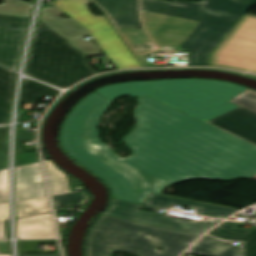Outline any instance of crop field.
Returning <instances> with one entry per match:
<instances>
[{"label":"crop field","mask_w":256,"mask_h":256,"mask_svg":"<svg viewBox=\"0 0 256 256\" xmlns=\"http://www.w3.org/2000/svg\"><path fill=\"white\" fill-rule=\"evenodd\" d=\"M36 151L16 155V166L38 162Z\"/></svg>","instance_id":"4177f3b9"},{"label":"crop field","mask_w":256,"mask_h":256,"mask_svg":"<svg viewBox=\"0 0 256 256\" xmlns=\"http://www.w3.org/2000/svg\"><path fill=\"white\" fill-rule=\"evenodd\" d=\"M185 253L213 255V256H239L238 248L225 244L212 237L204 235Z\"/></svg>","instance_id":"733c2abd"},{"label":"crop field","mask_w":256,"mask_h":256,"mask_svg":"<svg viewBox=\"0 0 256 256\" xmlns=\"http://www.w3.org/2000/svg\"><path fill=\"white\" fill-rule=\"evenodd\" d=\"M28 19L0 16V65L17 70ZM18 28L17 31L12 30Z\"/></svg>","instance_id":"3316defc"},{"label":"crop field","mask_w":256,"mask_h":256,"mask_svg":"<svg viewBox=\"0 0 256 256\" xmlns=\"http://www.w3.org/2000/svg\"><path fill=\"white\" fill-rule=\"evenodd\" d=\"M7 188H8V178H7V169H5L0 171V204L7 203Z\"/></svg>","instance_id":"730fd06b"},{"label":"crop field","mask_w":256,"mask_h":256,"mask_svg":"<svg viewBox=\"0 0 256 256\" xmlns=\"http://www.w3.org/2000/svg\"><path fill=\"white\" fill-rule=\"evenodd\" d=\"M17 217L49 211L47 198L16 203Z\"/></svg>","instance_id":"92a150f3"},{"label":"crop field","mask_w":256,"mask_h":256,"mask_svg":"<svg viewBox=\"0 0 256 256\" xmlns=\"http://www.w3.org/2000/svg\"><path fill=\"white\" fill-rule=\"evenodd\" d=\"M247 88L203 79H170L161 81L117 83L95 92L110 100L128 94L149 95L202 121L210 120L237 108L227 101Z\"/></svg>","instance_id":"34b2d1b8"},{"label":"crop field","mask_w":256,"mask_h":256,"mask_svg":"<svg viewBox=\"0 0 256 256\" xmlns=\"http://www.w3.org/2000/svg\"><path fill=\"white\" fill-rule=\"evenodd\" d=\"M19 256H60L59 254H19Z\"/></svg>","instance_id":"bd1437ed"},{"label":"crop field","mask_w":256,"mask_h":256,"mask_svg":"<svg viewBox=\"0 0 256 256\" xmlns=\"http://www.w3.org/2000/svg\"><path fill=\"white\" fill-rule=\"evenodd\" d=\"M8 127H0V151L7 152Z\"/></svg>","instance_id":"ae1a2a85"},{"label":"crop field","mask_w":256,"mask_h":256,"mask_svg":"<svg viewBox=\"0 0 256 256\" xmlns=\"http://www.w3.org/2000/svg\"><path fill=\"white\" fill-rule=\"evenodd\" d=\"M47 197L39 162L16 168V202Z\"/></svg>","instance_id":"22f410ed"},{"label":"crop field","mask_w":256,"mask_h":256,"mask_svg":"<svg viewBox=\"0 0 256 256\" xmlns=\"http://www.w3.org/2000/svg\"><path fill=\"white\" fill-rule=\"evenodd\" d=\"M63 15L56 8H42L40 17L42 21L47 23L57 32H59L65 39L69 40L71 45L84 52L88 56L102 54L96 50L98 46L93 41H85L83 38L89 35L82 27L71 19H63L59 17Z\"/></svg>","instance_id":"28ad6ade"},{"label":"crop field","mask_w":256,"mask_h":256,"mask_svg":"<svg viewBox=\"0 0 256 256\" xmlns=\"http://www.w3.org/2000/svg\"><path fill=\"white\" fill-rule=\"evenodd\" d=\"M9 114L0 110V124L8 123Z\"/></svg>","instance_id":"750c4746"},{"label":"crop field","mask_w":256,"mask_h":256,"mask_svg":"<svg viewBox=\"0 0 256 256\" xmlns=\"http://www.w3.org/2000/svg\"><path fill=\"white\" fill-rule=\"evenodd\" d=\"M56 238L49 213L17 219V239Z\"/></svg>","instance_id":"d9b57169"},{"label":"crop field","mask_w":256,"mask_h":256,"mask_svg":"<svg viewBox=\"0 0 256 256\" xmlns=\"http://www.w3.org/2000/svg\"><path fill=\"white\" fill-rule=\"evenodd\" d=\"M142 206L125 201L112 199L108 209L101 215H112L123 219L143 222L152 225L168 227L184 232L201 235L219 220L204 218L201 221L191 219L184 222L181 219L165 216L159 213L140 210Z\"/></svg>","instance_id":"5a996713"},{"label":"crop field","mask_w":256,"mask_h":256,"mask_svg":"<svg viewBox=\"0 0 256 256\" xmlns=\"http://www.w3.org/2000/svg\"><path fill=\"white\" fill-rule=\"evenodd\" d=\"M208 122L256 144V113L239 107Z\"/></svg>","instance_id":"d1516ede"},{"label":"crop field","mask_w":256,"mask_h":256,"mask_svg":"<svg viewBox=\"0 0 256 256\" xmlns=\"http://www.w3.org/2000/svg\"><path fill=\"white\" fill-rule=\"evenodd\" d=\"M254 215L256 216V210ZM239 223L225 222L210 231L211 234L223 241L240 242V256H256V227L250 229L237 228Z\"/></svg>","instance_id":"cbeb9de0"},{"label":"crop field","mask_w":256,"mask_h":256,"mask_svg":"<svg viewBox=\"0 0 256 256\" xmlns=\"http://www.w3.org/2000/svg\"><path fill=\"white\" fill-rule=\"evenodd\" d=\"M0 256H11V255H0Z\"/></svg>","instance_id":"120bbe31"},{"label":"crop field","mask_w":256,"mask_h":256,"mask_svg":"<svg viewBox=\"0 0 256 256\" xmlns=\"http://www.w3.org/2000/svg\"><path fill=\"white\" fill-rule=\"evenodd\" d=\"M0 5V13L28 17L33 5L23 0H4Z\"/></svg>","instance_id":"dafd665d"},{"label":"crop field","mask_w":256,"mask_h":256,"mask_svg":"<svg viewBox=\"0 0 256 256\" xmlns=\"http://www.w3.org/2000/svg\"><path fill=\"white\" fill-rule=\"evenodd\" d=\"M228 102L256 112V91L247 89Z\"/></svg>","instance_id":"00972430"},{"label":"crop field","mask_w":256,"mask_h":256,"mask_svg":"<svg viewBox=\"0 0 256 256\" xmlns=\"http://www.w3.org/2000/svg\"><path fill=\"white\" fill-rule=\"evenodd\" d=\"M85 58L84 54L72 49L59 35L38 22L25 73L66 88L95 74L85 65Z\"/></svg>","instance_id":"f4fd0767"},{"label":"crop field","mask_w":256,"mask_h":256,"mask_svg":"<svg viewBox=\"0 0 256 256\" xmlns=\"http://www.w3.org/2000/svg\"><path fill=\"white\" fill-rule=\"evenodd\" d=\"M136 126L121 158L98 139L97 123L112 101L91 93L65 118L63 150L110 188L112 197L143 205L150 192L203 178L230 181L256 174V146L148 96L136 98Z\"/></svg>","instance_id":"8a807250"},{"label":"crop field","mask_w":256,"mask_h":256,"mask_svg":"<svg viewBox=\"0 0 256 256\" xmlns=\"http://www.w3.org/2000/svg\"><path fill=\"white\" fill-rule=\"evenodd\" d=\"M108 16L126 44L135 53L153 51L155 46L141 26L138 4L139 0H92Z\"/></svg>","instance_id":"d8731c3e"},{"label":"crop field","mask_w":256,"mask_h":256,"mask_svg":"<svg viewBox=\"0 0 256 256\" xmlns=\"http://www.w3.org/2000/svg\"><path fill=\"white\" fill-rule=\"evenodd\" d=\"M198 236L163 227L99 216L84 242L86 256L135 251L140 256H178ZM157 246L165 248L158 252Z\"/></svg>","instance_id":"412701ff"},{"label":"crop field","mask_w":256,"mask_h":256,"mask_svg":"<svg viewBox=\"0 0 256 256\" xmlns=\"http://www.w3.org/2000/svg\"><path fill=\"white\" fill-rule=\"evenodd\" d=\"M59 91L45 85L24 79L20 101L23 103H37L45 95L55 98Z\"/></svg>","instance_id":"4a817a6b"},{"label":"crop field","mask_w":256,"mask_h":256,"mask_svg":"<svg viewBox=\"0 0 256 256\" xmlns=\"http://www.w3.org/2000/svg\"><path fill=\"white\" fill-rule=\"evenodd\" d=\"M15 75V72L0 67V109L9 114Z\"/></svg>","instance_id":"bc2a9ffb"},{"label":"crop field","mask_w":256,"mask_h":256,"mask_svg":"<svg viewBox=\"0 0 256 256\" xmlns=\"http://www.w3.org/2000/svg\"><path fill=\"white\" fill-rule=\"evenodd\" d=\"M247 76H252V75H247ZM252 77L256 78V76H252Z\"/></svg>","instance_id":"1d83c4d3"},{"label":"crop field","mask_w":256,"mask_h":256,"mask_svg":"<svg viewBox=\"0 0 256 256\" xmlns=\"http://www.w3.org/2000/svg\"><path fill=\"white\" fill-rule=\"evenodd\" d=\"M7 168V154L0 153V170Z\"/></svg>","instance_id":"d3111659"},{"label":"crop field","mask_w":256,"mask_h":256,"mask_svg":"<svg viewBox=\"0 0 256 256\" xmlns=\"http://www.w3.org/2000/svg\"><path fill=\"white\" fill-rule=\"evenodd\" d=\"M53 2L90 32L118 69L141 67L106 19L88 11L87 5L90 3L87 0H54Z\"/></svg>","instance_id":"dd49c442"},{"label":"crop field","mask_w":256,"mask_h":256,"mask_svg":"<svg viewBox=\"0 0 256 256\" xmlns=\"http://www.w3.org/2000/svg\"><path fill=\"white\" fill-rule=\"evenodd\" d=\"M254 2L255 0H204L202 3H169L140 0L139 13L142 26L159 47L180 46L190 52L188 66H209V53ZM111 26L115 30L112 24ZM126 47L128 48L127 45ZM159 50L158 48L156 51ZM147 54H134L142 67L147 66L144 59Z\"/></svg>","instance_id":"ac0d7876"},{"label":"crop field","mask_w":256,"mask_h":256,"mask_svg":"<svg viewBox=\"0 0 256 256\" xmlns=\"http://www.w3.org/2000/svg\"><path fill=\"white\" fill-rule=\"evenodd\" d=\"M212 66L256 73V16L246 14L212 53Z\"/></svg>","instance_id":"e52e79f7"},{"label":"crop field","mask_w":256,"mask_h":256,"mask_svg":"<svg viewBox=\"0 0 256 256\" xmlns=\"http://www.w3.org/2000/svg\"><path fill=\"white\" fill-rule=\"evenodd\" d=\"M8 219L7 204L0 205V239H7L5 236L4 221Z\"/></svg>","instance_id":"eef30255"},{"label":"crop field","mask_w":256,"mask_h":256,"mask_svg":"<svg viewBox=\"0 0 256 256\" xmlns=\"http://www.w3.org/2000/svg\"><path fill=\"white\" fill-rule=\"evenodd\" d=\"M51 194L69 192L65 174L49 161H44Z\"/></svg>","instance_id":"214f88e0"},{"label":"crop field","mask_w":256,"mask_h":256,"mask_svg":"<svg viewBox=\"0 0 256 256\" xmlns=\"http://www.w3.org/2000/svg\"><path fill=\"white\" fill-rule=\"evenodd\" d=\"M52 200L55 207L68 205H84L88 200V196L85 192L74 193L69 195L52 197Z\"/></svg>","instance_id":"a9b5d70f"},{"label":"crop field","mask_w":256,"mask_h":256,"mask_svg":"<svg viewBox=\"0 0 256 256\" xmlns=\"http://www.w3.org/2000/svg\"><path fill=\"white\" fill-rule=\"evenodd\" d=\"M172 204L187 205L190 208L198 207L197 214L219 217L224 219L225 217L235 213L237 210L222 208L202 203H196L181 199L170 198L162 195H156L150 193L144 205L149 207H158L168 209Z\"/></svg>","instance_id":"5142ce71"}]
</instances>
